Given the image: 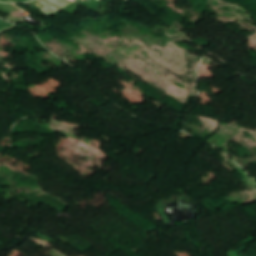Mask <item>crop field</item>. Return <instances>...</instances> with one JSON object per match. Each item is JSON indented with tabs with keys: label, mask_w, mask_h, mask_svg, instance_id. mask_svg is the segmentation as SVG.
I'll use <instances>...</instances> for the list:
<instances>
[{
	"label": "crop field",
	"mask_w": 256,
	"mask_h": 256,
	"mask_svg": "<svg viewBox=\"0 0 256 256\" xmlns=\"http://www.w3.org/2000/svg\"><path fill=\"white\" fill-rule=\"evenodd\" d=\"M14 27H15V25H13L9 22L0 20V33L4 32L6 30H9L11 28H14Z\"/></svg>",
	"instance_id": "crop-field-1"
},
{
	"label": "crop field",
	"mask_w": 256,
	"mask_h": 256,
	"mask_svg": "<svg viewBox=\"0 0 256 256\" xmlns=\"http://www.w3.org/2000/svg\"><path fill=\"white\" fill-rule=\"evenodd\" d=\"M3 2H22V1H29V0H0Z\"/></svg>",
	"instance_id": "crop-field-2"
}]
</instances>
